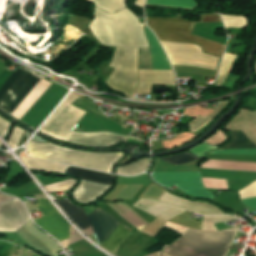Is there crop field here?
Returning a JSON list of instances; mask_svg holds the SVG:
<instances>
[{"mask_svg": "<svg viewBox=\"0 0 256 256\" xmlns=\"http://www.w3.org/2000/svg\"><path fill=\"white\" fill-rule=\"evenodd\" d=\"M143 25L126 8L111 16L95 7L94 21L89 27L94 37L103 45L148 47Z\"/></svg>", "mask_w": 256, "mask_h": 256, "instance_id": "8a807250", "label": "crop field"}, {"mask_svg": "<svg viewBox=\"0 0 256 256\" xmlns=\"http://www.w3.org/2000/svg\"><path fill=\"white\" fill-rule=\"evenodd\" d=\"M222 22L220 15L203 14L199 22L174 18H147V25L159 40L196 43L204 53L222 56L225 45L191 34L195 23Z\"/></svg>", "mask_w": 256, "mask_h": 256, "instance_id": "ac0d7876", "label": "crop field"}, {"mask_svg": "<svg viewBox=\"0 0 256 256\" xmlns=\"http://www.w3.org/2000/svg\"><path fill=\"white\" fill-rule=\"evenodd\" d=\"M236 230L206 232L189 229L160 256H224Z\"/></svg>", "mask_w": 256, "mask_h": 256, "instance_id": "34b2d1b8", "label": "crop field"}, {"mask_svg": "<svg viewBox=\"0 0 256 256\" xmlns=\"http://www.w3.org/2000/svg\"><path fill=\"white\" fill-rule=\"evenodd\" d=\"M28 155L51 161L69 163L86 168L111 171L113 164L123 153H89L75 151L54 144H36L30 141L26 145Z\"/></svg>", "mask_w": 256, "mask_h": 256, "instance_id": "412701ff", "label": "crop field"}, {"mask_svg": "<svg viewBox=\"0 0 256 256\" xmlns=\"http://www.w3.org/2000/svg\"><path fill=\"white\" fill-rule=\"evenodd\" d=\"M137 53L138 49L116 48L110 63L115 70L106 83L127 97H132L138 81Z\"/></svg>", "mask_w": 256, "mask_h": 256, "instance_id": "f4fd0767", "label": "crop field"}, {"mask_svg": "<svg viewBox=\"0 0 256 256\" xmlns=\"http://www.w3.org/2000/svg\"><path fill=\"white\" fill-rule=\"evenodd\" d=\"M41 77L18 68L0 85V108L12 113Z\"/></svg>", "mask_w": 256, "mask_h": 256, "instance_id": "dd49c442", "label": "crop field"}, {"mask_svg": "<svg viewBox=\"0 0 256 256\" xmlns=\"http://www.w3.org/2000/svg\"><path fill=\"white\" fill-rule=\"evenodd\" d=\"M61 208L70 216V218L83 230L90 225L83 210L74 206L69 200L57 201ZM95 235L100 242L106 241L112 231L120 224L114 217L100 208H96L91 214L87 215Z\"/></svg>", "mask_w": 256, "mask_h": 256, "instance_id": "e52e79f7", "label": "crop field"}, {"mask_svg": "<svg viewBox=\"0 0 256 256\" xmlns=\"http://www.w3.org/2000/svg\"><path fill=\"white\" fill-rule=\"evenodd\" d=\"M172 65L199 66L216 70L221 58L204 54L195 45L161 42Z\"/></svg>", "mask_w": 256, "mask_h": 256, "instance_id": "d8731c3e", "label": "crop field"}, {"mask_svg": "<svg viewBox=\"0 0 256 256\" xmlns=\"http://www.w3.org/2000/svg\"><path fill=\"white\" fill-rule=\"evenodd\" d=\"M78 97L79 96L71 93L48 120L42 131L58 139L65 138L85 113V111L71 105Z\"/></svg>", "mask_w": 256, "mask_h": 256, "instance_id": "5a996713", "label": "crop field"}, {"mask_svg": "<svg viewBox=\"0 0 256 256\" xmlns=\"http://www.w3.org/2000/svg\"><path fill=\"white\" fill-rule=\"evenodd\" d=\"M152 177L162 185L169 188L175 185L194 197L213 199L215 196L203 187L200 172L153 173Z\"/></svg>", "mask_w": 256, "mask_h": 256, "instance_id": "3316defc", "label": "crop field"}, {"mask_svg": "<svg viewBox=\"0 0 256 256\" xmlns=\"http://www.w3.org/2000/svg\"><path fill=\"white\" fill-rule=\"evenodd\" d=\"M36 206L45 215L35 221L37 225L52 234L59 241L69 238V224L52 206L48 199H37Z\"/></svg>", "mask_w": 256, "mask_h": 256, "instance_id": "28ad6ade", "label": "crop field"}, {"mask_svg": "<svg viewBox=\"0 0 256 256\" xmlns=\"http://www.w3.org/2000/svg\"><path fill=\"white\" fill-rule=\"evenodd\" d=\"M29 221L24 207L18 200L0 204L1 232H15Z\"/></svg>", "mask_w": 256, "mask_h": 256, "instance_id": "d1516ede", "label": "crop field"}, {"mask_svg": "<svg viewBox=\"0 0 256 256\" xmlns=\"http://www.w3.org/2000/svg\"><path fill=\"white\" fill-rule=\"evenodd\" d=\"M128 138L115 136L109 133L77 134L70 133L65 141L90 146H112L116 143L127 141Z\"/></svg>", "mask_w": 256, "mask_h": 256, "instance_id": "22f410ed", "label": "crop field"}, {"mask_svg": "<svg viewBox=\"0 0 256 256\" xmlns=\"http://www.w3.org/2000/svg\"><path fill=\"white\" fill-rule=\"evenodd\" d=\"M140 81L136 92H150L152 84L176 86L172 70H139Z\"/></svg>", "mask_w": 256, "mask_h": 256, "instance_id": "cbeb9de0", "label": "crop field"}, {"mask_svg": "<svg viewBox=\"0 0 256 256\" xmlns=\"http://www.w3.org/2000/svg\"><path fill=\"white\" fill-rule=\"evenodd\" d=\"M134 206L138 207L139 209L149 213L150 215L163 219V220H170L179 214L185 212L186 210L162 204L150 199L140 200Z\"/></svg>", "mask_w": 256, "mask_h": 256, "instance_id": "5142ce71", "label": "crop field"}, {"mask_svg": "<svg viewBox=\"0 0 256 256\" xmlns=\"http://www.w3.org/2000/svg\"><path fill=\"white\" fill-rule=\"evenodd\" d=\"M161 201L176 205V206H180L183 208H186L188 210H191L193 212H196L198 214H202V215H217V214H224L221 211H219L217 208L206 204L204 202H194V203H190L187 202L185 200H181L179 198H177L174 195H170L168 193L165 192V194L161 197L160 199Z\"/></svg>", "mask_w": 256, "mask_h": 256, "instance_id": "d9b57169", "label": "crop field"}, {"mask_svg": "<svg viewBox=\"0 0 256 256\" xmlns=\"http://www.w3.org/2000/svg\"><path fill=\"white\" fill-rule=\"evenodd\" d=\"M109 186L83 181L78 188L72 193L74 198L80 203H89L96 199L97 196L101 195Z\"/></svg>", "mask_w": 256, "mask_h": 256, "instance_id": "733c2abd", "label": "crop field"}, {"mask_svg": "<svg viewBox=\"0 0 256 256\" xmlns=\"http://www.w3.org/2000/svg\"><path fill=\"white\" fill-rule=\"evenodd\" d=\"M145 33L150 44V51L152 57L153 70H167L171 69L169 61L160 47L154 34L145 26Z\"/></svg>", "mask_w": 256, "mask_h": 256, "instance_id": "4a817a6b", "label": "crop field"}, {"mask_svg": "<svg viewBox=\"0 0 256 256\" xmlns=\"http://www.w3.org/2000/svg\"><path fill=\"white\" fill-rule=\"evenodd\" d=\"M109 203L119 214L131 222L138 230H142L150 223L134 212L130 207L121 202H107Z\"/></svg>", "mask_w": 256, "mask_h": 256, "instance_id": "bc2a9ffb", "label": "crop field"}, {"mask_svg": "<svg viewBox=\"0 0 256 256\" xmlns=\"http://www.w3.org/2000/svg\"><path fill=\"white\" fill-rule=\"evenodd\" d=\"M66 173L75 175L84 180L94 181L98 183L108 184L110 185L112 182V175L105 173H98L78 168L70 167Z\"/></svg>", "mask_w": 256, "mask_h": 256, "instance_id": "214f88e0", "label": "crop field"}, {"mask_svg": "<svg viewBox=\"0 0 256 256\" xmlns=\"http://www.w3.org/2000/svg\"><path fill=\"white\" fill-rule=\"evenodd\" d=\"M21 158L30 170L46 171L48 173H64L66 169L69 167L66 165L37 161L23 157Z\"/></svg>", "mask_w": 256, "mask_h": 256, "instance_id": "92a150f3", "label": "crop field"}, {"mask_svg": "<svg viewBox=\"0 0 256 256\" xmlns=\"http://www.w3.org/2000/svg\"><path fill=\"white\" fill-rule=\"evenodd\" d=\"M232 134V140L230 143H227L223 145L220 148H216V150L220 149H243V148H256V145H254L248 137L245 135L244 132L233 130L230 131Z\"/></svg>", "mask_w": 256, "mask_h": 256, "instance_id": "dafd665d", "label": "crop field"}, {"mask_svg": "<svg viewBox=\"0 0 256 256\" xmlns=\"http://www.w3.org/2000/svg\"><path fill=\"white\" fill-rule=\"evenodd\" d=\"M95 3L97 7L106 11L109 14H114L119 10L125 8L127 0H90ZM137 6L143 7L144 0H136Z\"/></svg>", "mask_w": 256, "mask_h": 256, "instance_id": "00972430", "label": "crop field"}, {"mask_svg": "<svg viewBox=\"0 0 256 256\" xmlns=\"http://www.w3.org/2000/svg\"><path fill=\"white\" fill-rule=\"evenodd\" d=\"M228 102L229 100L219 103L217 107L212 111V113L205 118L202 116H198L192 122H190L189 125L191 127V132L194 133L202 127L208 125L213 120V118L220 113V111L226 106Z\"/></svg>", "mask_w": 256, "mask_h": 256, "instance_id": "a9b5d70f", "label": "crop field"}, {"mask_svg": "<svg viewBox=\"0 0 256 256\" xmlns=\"http://www.w3.org/2000/svg\"><path fill=\"white\" fill-rule=\"evenodd\" d=\"M132 231V229L120 224L107 239L104 247L110 252Z\"/></svg>", "mask_w": 256, "mask_h": 256, "instance_id": "4177f3b9", "label": "crop field"}, {"mask_svg": "<svg viewBox=\"0 0 256 256\" xmlns=\"http://www.w3.org/2000/svg\"><path fill=\"white\" fill-rule=\"evenodd\" d=\"M146 4L193 9L198 6L195 0H147Z\"/></svg>", "mask_w": 256, "mask_h": 256, "instance_id": "730fd06b", "label": "crop field"}, {"mask_svg": "<svg viewBox=\"0 0 256 256\" xmlns=\"http://www.w3.org/2000/svg\"><path fill=\"white\" fill-rule=\"evenodd\" d=\"M236 57L237 55H234V54H228V53L224 54V58L219 71V78L216 85L221 86L223 82L226 80L228 74L232 69V63Z\"/></svg>", "mask_w": 256, "mask_h": 256, "instance_id": "eef30255", "label": "crop field"}, {"mask_svg": "<svg viewBox=\"0 0 256 256\" xmlns=\"http://www.w3.org/2000/svg\"><path fill=\"white\" fill-rule=\"evenodd\" d=\"M149 165V159H142L132 165L119 167L117 172L125 175H134L143 172Z\"/></svg>", "mask_w": 256, "mask_h": 256, "instance_id": "ae1a2a85", "label": "crop field"}, {"mask_svg": "<svg viewBox=\"0 0 256 256\" xmlns=\"http://www.w3.org/2000/svg\"><path fill=\"white\" fill-rule=\"evenodd\" d=\"M159 159H161L163 161H166L168 163H171V164H175V165L190 162V161H194V160H198V158H196L195 156H193L189 152L179 154V155H176V156H172V157H164V158H159Z\"/></svg>", "mask_w": 256, "mask_h": 256, "instance_id": "d3111659", "label": "crop field"}, {"mask_svg": "<svg viewBox=\"0 0 256 256\" xmlns=\"http://www.w3.org/2000/svg\"><path fill=\"white\" fill-rule=\"evenodd\" d=\"M226 27H246V17L221 14Z\"/></svg>", "mask_w": 256, "mask_h": 256, "instance_id": "750c4746", "label": "crop field"}, {"mask_svg": "<svg viewBox=\"0 0 256 256\" xmlns=\"http://www.w3.org/2000/svg\"><path fill=\"white\" fill-rule=\"evenodd\" d=\"M139 69H152L149 49H139Z\"/></svg>", "mask_w": 256, "mask_h": 256, "instance_id": "bd1437ed", "label": "crop field"}, {"mask_svg": "<svg viewBox=\"0 0 256 256\" xmlns=\"http://www.w3.org/2000/svg\"><path fill=\"white\" fill-rule=\"evenodd\" d=\"M75 180L69 179L56 184L45 186L49 192L69 190L74 184Z\"/></svg>", "mask_w": 256, "mask_h": 256, "instance_id": "1d83c4d3", "label": "crop field"}, {"mask_svg": "<svg viewBox=\"0 0 256 256\" xmlns=\"http://www.w3.org/2000/svg\"><path fill=\"white\" fill-rule=\"evenodd\" d=\"M209 154H244V155H256V149H244V150H221L212 151Z\"/></svg>", "mask_w": 256, "mask_h": 256, "instance_id": "120bbe31", "label": "crop field"}, {"mask_svg": "<svg viewBox=\"0 0 256 256\" xmlns=\"http://www.w3.org/2000/svg\"><path fill=\"white\" fill-rule=\"evenodd\" d=\"M239 194L241 199L256 197V181L239 191Z\"/></svg>", "mask_w": 256, "mask_h": 256, "instance_id": "d32e631a", "label": "crop field"}, {"mask_svg": "<svg viewBox=\"0 0 256 256\" xmlns=\"http://www.w3.org/2000/svg\"><path fill=\"white\" fill-rule=\"evenodd\" d=\"M23 130L17 128V127H14L13 131H12V134L8 140V142L10 143V145L12 147H17L18 144H19V141L22 137V134H23Z\"/></svg>", "mask_w": 256, "mask_h": 256, "instance_id": "5866460e", "label": "crop field"}, {"mask_svg": "<svg viewBox=\"0 0 256 256\" xmlns=\"http://www.w3.org/2000/svg\"><path fill=\"white\" fill-rule=\"evenodd\" d=\"M236 220V218L231 216H216V217H208L204 216L202 223H218L224 221Z\"/></svg>", "mask_w": 256, "mask_h": 256, "instance_id": "028f5c9d", "label": "crop field"}, {"mask_svg": "<svg viewBox=\"0 0 256 256\" xmlns=\"http://www.w3.org/2000/svg\"><path fill=\"white\" fill-rule=\"evenodd\" d=\"M9 126H10V123H8L7 121H5L3 118L0 117V134L2 135L3 138Z\"/></svg>", "mask_w": 256, "mask_h": 256, "instance_id": "e1f06a70", "label": "crop field"}, {"mask_svg": "<svg viewBox=\"0 0 256 256\" xmlns=\"http://www.w3.org/2000/svg\"><path fill=\"white\" fill-rule=\"evenodd\" d=\"M247 207L256 210V198L241 200Z\"/></svg>", "mask_w": 256, "mask_h": 256, "instance_id": "0bd39190", "label": "crop field"}, {"mask_svg": "<svg viewBox=\"0 0 256 256\" xmlns=\"http://www.w3.org/2000/svg\"><path fill=\"white\" fill-rule=\"evenodd\" d=\"M9 199H12V198H8V197L1 196V195H0V203L5 202V201H7V200H9Z\"/></svg>", "mask_w": 256, "mask_h": 256, "instance_id": "b80d0937", "label": "crop field"}, {"mask_svg": "<svg viewBox=\"0 0 256 256\" xmlns=\"http://www.w3.org/2000/svg\"><path fill=\"white\" fill-rule=\"evenodd\" d=\"M68 240H69V239H68ZM68 240L61 241V244L63 245L64 248H67Z\"/></svg>", "mask_w": 256, "mask_h": 256, "instance_id": "c035e120", "label": "crop field"}, {"mask_svg": "<svg viewBox=\"0 0 256 256\" xmlns=\"http://www.w3.org/2000/svg\"><path fill=\"white\" fill-rule=\"evenodd\" d=\"M148 256H153L152 254L148 255Z\"/></svg>", "mask_w": 256, "mask_h": 256, "instance_id": "c21b1889", "label": "crop field"}]
</instances>
